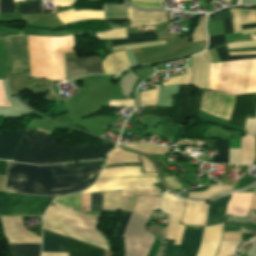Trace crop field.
Returning a JSON list of instances; mask_svg holds the SVG:
<instances>
[{
    "mask_svg": "<svg viewBox=\"0 0 256 256\" xmlns=\"http://www.w3.org/2000/svg\"><path fill=\"white\" fill-rule=\"evenodd\" d=\"M229 140H214V147L218 149V157H214L213 163H228Z\"/></svg>",
    "mask_w": 256,
    "mask_h": 256,
    "instance_id": "crop-field-33",
    "label": "crop field"
},
{
    "mask_svg": "<svg viewBox=\"0 0 256 256\" xmlns=\"http://www.w3.org/2000/svg\"><path fill=\"white\" fill-rule=\"evenodd\" d=\"M124 146L132 147L140 152H146V153L166 154L168 151V148L149 144V143L128 144V145H124Z\"/></svg>",
    "mask_w": 256,
    "mask_h": 256,
    "instance_id": "crop-field-34",
    "label": "crop field"
},
{
    "mask_svg": "<svg viewBox=\"0 0 256 256\" xmlns=\"http://www.w3.org/2000/svg\"><path fill=\"white\" fill-rule=\"evenodd\" d=\"M238 9L240 13V17L238 18H236L233 10L230 9V12L233 16L232 22H233L234 33L241 32L240 25L256 23V10L240 9V8Z\"/></svg>",
    "mask_w": 256,
    "mask_h": 256,
    "instance_id": "crop-field-27",
    "label": "crop field"
},
{
    "mask_svg": "<svg viewBox=\"0 0 256 256\" xmlns=\"http://www.w3.org/2000/svg\"><path fill=\"white\" fill-rule=\"evenodd\" d=\"M130 2L141 8H160L161 0H130Z\"/></svg>",
    "mask_w": 256,
    "mask_h": 256,
    "instance_id": "crop-field-40",
    "label": "crop field"
},
{
    "mask_svg": "<svg viewBox=\"0 0 256 256\" xmlns=\"http://www.w3.org/2000/svg\"><path fill=\"white\" fill-rule=\"evenodd\" d=\"M96 37L99 39L126 38V33L125 29H121L116 31L98 33L96 34Z\"/></svg>",
    "mask_w": 256,
    "mask_h": 256,
    "instance_id": "crop-field-41",
    "label": "crop field"
},
{
    "mask_svg": "<svg viewBox=\"0 0 256 256\" xmlns=\"http://www.w3.org/2000/svg\"><path fill=\"white\" fill-rule=\"evenodd\" d=\"M6 161L0 160V175H5Z\"/></svg>",
    "mask_w": 256,
    "mask_h": 256,
    "instance_id": "crop-field-65",
    "label": "crop field"
},
{
    "mask_svg": "<svg viewBox=\"0 0 256 256\" xmlns=\"http://www.w3.org/2000/svg\"><path fill=\"white\" fill-rule=\"evenodd\" d=\"M255 158L254 137L246 135L241 137V161L240 163L251 164Z\"/></svg>",
    "mask_w": 256,
    "mask_h": 256,
    "instance_id": "crop-field-28",
    "label": "crop field"
},
{
    "mask_svg": "<svg viewBox=\"0 0 256 256\" xmlns=\"http://www.w3.org/2000/svg\"><path fill=\"white\" fill-rule=\"evenodd\" d=\"M210 88L235 94L256 91V60L212 65Z\"/></svg>",
    "mask_w": 256,
    "mask_h": 256,
    "instance_id": "crop-field-5",
    "label": "crop field"
},
{
    "mask_svg": "<svg viewBox=\"0 0 256 256\" xmlns=\"http://www.w3.org/2000/svg\"><path fill=\"white\" fill-rule=\"evenodd\" d=\"M82 208H90V195L81 196Z\"/></svg>",
    "mask_w": 256,
    "mask_h": 256,
    "instance_id": "crop-field-59",
    "label": "crop field"
},
{
    "mask_svg": "<svg viewBox=\"0 0 256 256\" xmlns=\"http://www.w3.org/2000/svg\"><path fill=\"white\" fill-rule=\"evenodd\" d=\"M238 241H222L221 242V251L218 256H229L230 254L234 253Z\"/></svg>",
    "mask_w": 256,
    "mask_h": 256,
    "instance_id": "crop-field-39",
    "label": "crop field"
},
{
    "mask_svg": "<svg viewBox=\"0 0 256 256\" xmlns=\"http://www.w3.org/2000/svg\"><path fill=\"white\" fill-rule=\"evenodd\" d=\"M183 229H184V226H182L181 223H180V225L178 227V230H177V234H176L174 244L180 245V240H181V236H182V233H183Z\"/></svg>",
    "mask_w": 256,
    "mask_h": 256,
    "instance_id": "crop-field-58",
    "label": "crop field"
},
{
    "mask_svg": "<svg viewBox=\"0 0 256 256\" xmlns=\"http://www.w3.org/2000/svg\"><path fill=\"white\" fill-rule=\"evenodd\" d=\"M128 198L120 199L119 210L126 211L125 206Z\"/></svg>",
    "mask_w": 256,
    "mask_h": 256,
    "instance_id": "crop-field-64",
    "label": "crop field"
},
{
    "mask_svg": "<svg viewBox=\"0 0 256 256\" xmlns=\"http://www.w3.org/2000/svg\"><path fill=\"white\" fill-rule=\"evenodd\" d=\"M231 190H232V186H229V185H210L208 191L189 193L188 197L207 198V197L221 195V194L230 192Z\"/></svg>",
    "mask_w": 256,
    "mask_h": 256,
    "instance_id": "crop-field-31",
    "label": "crop field"
},
{
    "mask_svg": "<svg viewBox=\"0 0 256 256\" xmlns=\"http://www.w3.org/2000/svg\"><path fill=\"white\" fill-rule=\"evenodd\" d=\"M252 194L253 193L233 194L232 200L228 202L226 214L247 216Z\"/></svg>",
    "mask_w": 256,
    "mask_h": 256,
    "instance_id": "crop-field-19",
    "label": "crop field"
},
{
    "mask_svg": "<svg viewBox=\"0 0 256 256\" xmlns=\"http://www.w3.org/2000/svg\"><path fill=\"white\" fill-rule=\"evenodd\" d=\"M222 225L205 227L197 256H214L222 234Z\"/></svg>",
    "mask_w": 256,
    "mask_h": 256,
    "instance_id": "crop-field-16",
    "label": "crop field"
},
{
    "mask_svg": "<svg viewBox=\"0 0 256 256\" xmlns=\"http://www.w3.org/2000/svg\"><path fill=\"white\" fill-rule=\"evenodd\" d=\"M194 89L188 85H179L177 94L170 95L172 107H157L154 110H141L142 115L155 114L169 116L170 124L184 126L186 118L197 115L201 97H192Z\"/></svg>",
    "mask_w": 256,
    "mask_h": 256,
    "instance_id": "crop-field-7",
    "label": "crop field"
},
{
    "mask_svg": "<svg viewBox=\"0 0 256 256\" xmlns=\"http://www.w3.org/2000/svg\"><path fill=\"white\" fill-rule=\"evenodd\" d=\"M22 1V0H14ZM14 13L13 0H0V14Z\"/></svg>",
    "mask_w": 256,
    "mask_h": 256,
    "instance_id": "crop-field-43",
    "label": "crop field"
},
{
    "mask_svg": "<svg viewBox=\"0 0 256 256\" xmlns=\"http://www.w3.org/2000/svg\"><path fill=\"white\" fill-rule=\"evenodd\" d=\"M227 45L229 46V49L242 47H256V40L241 43H229Z\"/></svg>",
    "mask_w": 256,
    "mask_h": 256,
    "instance_id": "crop-field-47",
    "label": "crop field"
},
{
    "mask_svg": "<svg viewBox=\"0 0 256 256\" xmlns=\"http://www.w3.org/2000/svg\"><path fill=\"white\" fill-rule=\"evenodd\" d=\"M193 69L192 85L199 89H208L209 62L205 53H199L191 57Z\"/></svg>",
    "mask_w": 256,
    "mask_h": 256,
    "instance_id": "crop-field-15",
    "label": "crop field"
},
{
    "mask_svg": "<svg viewBox=\"0 0 256 256\" xmlns=\"http://www.w3.org/2000/svg\"><path fill=\"white\" fill-rule=\"evenodd\" d=\"M218 52V55L221 59L222 62H226V61H234V60H240V59H250V58H256V55H238V56H229L227 51H226V47H220L216 49ZM220 61H215V62H211V63H217Z\"/></svg>",
    "mask_w": 256,
    "mask_h": 256,
    "instance_id": "crop-field-37",
    "label": "crop field"
},
{
    "mask_svg": "<svg viewBox=\"0 0 256 256\" xmlns=\"http://www.w3.org/2000/svg\"><path fill=\"white\" fill-rule=\"evenodd\" d=\"M219 251V250H218ZM217 254H218V252H217ZM217 256V255H216Z\"/></svg>",
    "mask_w": 256,
    "mask_h": 256,
    "instance_id": "crop-field-77",
    "label": "crop field"
},
{
    "mask_svg": "<svg viewBox=\"0 0 256 256\" xmlns=\"http://www.w3.org/2000/svg\"><path fill=\"white\" fill-rule=\"evenodd\" d=\"M134 105V100H114L109 101V106H126Z\"/></svg>",
    "mask_w": 256,
    "mask_h": 256,
    "instance_id": "crop-field-51",
    "label": "crop field"
},
{
    "mask_svg": "<svg viewBox=\"0 0 256 256\" xmlns=\"http://www.w3.org/2000/svg\"><path fill=\"white\" fill-rule=\"evenodd\" d=\"M25 130L0 131V159H10Z\"/></svg>",
    "mask_w": 256,
    "mask_h": 256,
    "instance_id": "crop-field-18",
    "label": "crop field"
},
{
    "mask_svg": "<svg viewBox=\"0 0 256 256\" xmlns=\"http://www.w3.org/2000/svg\"><path fill=\"white\" fill-rule=\"evenodd\" d=\"M158 89L139 93V106L155 105L158 97Z\"/></svg>",
    "mask_w": 256,
    "mask_h": 256,
    "instance_id": "crop-field-36",
    "label": "crop field"
},
{
    "mask_svg": "<svg viewBox=\"0 0 256 256\" xmlns=\"http://www.w3.org/2000/svg\"><path fill=\"white\" fill-rule=\"evenodd\" d=\"M130 213H125L123 219H122V222L120 224V227L116 233V237H122L123 233H124V230L127 226V223H128V220L130 218ZM126 243H127V256H135V253L138 249V246H139V242H136V241H133V240H130V239H127L126 238Z\"/></svg>",
    "mask_w": 256,
    "mask_h": 256,
    "instance_id": "crop-field-32",
    "label": "crop field"
},
{
    "mask_svg": "<svg viewBox=\"0 0 256 256\" xmlns=\"http://www.w3.org/2000/svg\"><path fill=\"white\" fill-rule=\"evenodd\" d=\"M128 162H139L138 156L130 152H125L121 150L119 147H116L114 151L108 154L107 164L128 163Z\"/></svg>",
    "mask_w": 256,
    "mask_h": 256,
    "instance_id": "crop-field-30",
    "label": "crop field"
},
{
    "mask_svg": "<svg viewBox=\"0 0 256 256\" xmlns=\"http://www.w3.org/2000/svg\"><path fill=\"white\" fill-rule=\"evenodd\" d=\"M108 144L71 147L27 130L16 148L12 160L33 164H51L78 160H95L110 150Z\"/></svg>",
    "mask_w": 256,
    "mask_h": 256,
    "instance_id": "crop-field-4",
    "label": "crop field"
},
{
    "mask_svg": "<svg viewBox=\"0 0 256 256\" xmlns=\"http://www.w3.org/2000/svg\"><path fill=\"white\" fill-rule=\"evenodd\" d=\"M224 233H251V232H224Z\"/></svg>",
    "mask_w": 256,
    "mask_h": 256,
    "instance_id": "crop-field-74",
    "label": "crop field"
},
{
    "mask_svg": "<svg viewBox=\"0 0 256 256\" xmlns=\"http://www.w3.org/2000/svg\"><path fill=\"white\" fill-rule=\"evenodd\" d=\"M103 193L91 194V209L102 210Z\"/></svg>",
    "mask_w": 256,
    "mask_h": 256,
    "instance_id": "crop-field-44",
    "label": "crop field"
},
{
    "mask_svg": "<svg viewBox=\"0 0 256 256\" xmlns=\"http://www.w3.org/2000/svg\"><path fill=\"white\" fill-rule=\"evenodd\" d=\"M235 96L218 91H204L201 110L230 119Z\"/></svg>",
    "mask_w": 256,
    "mask_h": 256,
    "instance_id": "crop-field-10",
    "label": "crop field"
},
{
    "mask_svg": "<svg viewBox=\"0 0 256 256\" xmlns=\"http://www.w3.org/2000/svg\"><path fill=\"white\" fill-rule=\"evenodd\" d=\"M102 65L105 74H117L130 66L124 51L108 55L102 61Z\"/></svg>",
    "mask_w": 256,
    "mask_h": 256,
    "instance_id": "crop-field-20",
    "label": "crop field"
},
{
    "mask_svg": "<svg viewBox=\"0 0 256 256\" xmlns=\"http://www.w3.org/2000/svg\"><path fill=\"white\" fill-rule=\"evenodd\" d=\"M7 101H6L5 93H4V90H3L2 82L0 81V106H8L9 102H8V105H7Z\"/></svg>",
    "mask_w": 256,
    "mask_h": 256,
    "instance_id": "crop-field-54",
    "label": "crop field"
},
{
    "mask_svg": "<svg viewBox=\"0 0 256 256\" xmlns=\"http://www.w3.org/2000/svg\"><path fill=\"white\" fill-rule=\"evenodd\" d=\"M256 113V93L252 94V101L247 116H255Z\"/></svg>",
    "mask_w": 256,
    "mask_h": 256,
    "instance_id": "crop-field-53",
    "label": "crop field"
},
{
    "mask_svg": "<svg viewBox=\"0 0 256 256\" xmlns=\"http://www.w3.org/2000/svg\"><path fill=\"white\" fill-rule=\"evenodd\" d=\"M208 205L205 201H187L181 222L189 225H205Z\"/></svg>",
    "mask_w": 256,
    "mask_h": 256,
    "instance_id": "crop-field-17",
    "label": "crop field"
},
{
    "mask_svg": "<svg viewBox=\"0 0 256 256\" xmlns=\"http://www.w3.org/2000/svg\"><path fill=\"white\" fill-rule=\"evenodd\" d=\"M240 4H255L256 5V0H241Z\"/></svg>",
    "mask_w": 256,
    "mask_h": 256,
    "instance_id": "crop-field-66",
    "label": "crop field"
},
{
    "mask_svg": "<svg viewBox=\"0 0 256 256\" xmlns=\"http://www.w3.org/2000/svg\"><path fill=\"white\" fill-rule=\"evenodd\" d=\"M230 17H231V15L228 11V12H224V13L215 15L214 17H212L211 21H218V20H222V19H226V18H230Z\"/></svg>",
    "mask_w": 256,
    "mask_h": 256,
    "instance_id": "crop-field-57",
    "label": "crop field"
},
{
    "mask_svg": "<svg viewBox=\"0 0 256 256\" xmlns=\"http://www.w3.org/2000/svg\"><path fill=\"white\" fill-rule=\"evenodd\" d=\"M204 19L205 16H201L198 25L196 26L193 35H192V42L198 40H206V35L204 32Z\"/></svg>",
    "mask_w": 256,
    "mask_h": 256,
    "instance_id": "crop-field-38",
    "label": "crop field"
},
{
    "mask_svg": "<svg viewBox=\"0 0 256 256\" xmlns=\"http://www.w3.org/2000/svg\"><path fill=\"white\" fill-rule=\"evenodd\" d=\"M224 43H225L224 35L209 37L208 49L222 45Z\"/></svg>",
    "mask_w": 256,
    "mask_h": 256,
    "instance_id": "crop-field-46",
    "label": "crop field"
},
{
    "mask_svg": "<svg viewBox=\"0 0 256 256\" xmlns=\"http://www.w3.org/2000/svg\"><path fill=\"white\" fill-rule=\"evenodd\" d=\"M69 256H103V250L68 237Z\"/></svg>",
    "mask_w": 256,
    "mask_h": 256,
    "instance_id": "crop-field-24",
    "label": "crop field"
},
{
    "mask_svg": "<svg viewBox=\"0 0 256 256\" xmlns=\"http://www.w3.org/2000/svg\"><path fill=\"white\" fill-rule=\"evenodd\" d=\"M140 161L142 162L144 172H156L153 164H151L147 159L139 156Z\"/></svg>",
    "mask_w": 256,
    "mask_h": 256,
    "instance_id": "crop-field-50",
    "label": "crop field"
},
{
    "mask_svg": "<svg viewBox=\"0 0 256 256\" xmlns=\"http://www.w3.org/2000/svg\"><path fill=\"white\" fill-rule=\"evenodd\" d=\"M124 165H141L140 163H129V164H116V165H106L104 168L111 166H124Z\"/></svg>",
    "mask_w": 256,
    "mask_h": 256,
    "instance_id": "crop-field-67",
    "label": "crop field"
},
{
    "mask_svg": "<svg viewBox=\"0 0 256 256\" xmlns=\"http://www.w3.org/2000/svg\"><path fill=\"white\" fill-rule=\"evenodd\" d=\"M41 256H68V253H42Z\"/></svg>",
    "mask_w": 256,
    "mask_h": 256,
    "instance_id": "crop-field-63",
    "label": "crop field"
},
{
    "mask_svg": "<svg viewBox=\"0 0 256 256\" xmlns=\"http://www.w3.org/2000/svg\"><path fill=\"white\" fill-rule=\"evenodd\" d=\"M5 176H0V191H3Z\"/></svg>",
    "mask_w": 256,
    "mask_h": 256,
    "instance_id": "crop-field-68",
    "label": "crop field"
},
{
    "mask_svg": "<svg viewBox=\"0 0 256 256\" xmlns=\"http://www.w3.org/2000/svg\"><path fill=\"white\" fill-rule=\"evenodd\" d=\"M242 30H246V29H254L256 28V24H251V25H244L241 26ZM256 29L254 30H246V31H242V34H247V33H255Z\"/></svg>",
    "mask_w": 256,
    "mask_h": 256,
    "instance_id": "crop-field-61",
    "label": "crop field"
},
{
    "mask_svg": "<svg viewBox=\"0 0 256 256\" xmlns=\"http://www.w3.org/2000/svg\"><path fill=\"white\" fill-rule=\"evenodd\" d=\"M255 165H256V162H255Z\"/></svg>",
    "mask_w": 256,
    "mask_h": 256,
    "instance_id": "crop-field-78",
    "label": "crop field"
},
{
    "mask_svg": "<svg viewBox=\"0 0 256 256\" xmlns=\"http://www.w3.org/2000/svg\"><path fill=\"white\" fill-rule=\"evenodd\" d=\"M10 230L12 231L17 243H40V238L30 233L22 226L21 217L5 218ZM4 218H0L3 227V233L8 239V243H16L11 231L9 230Z\"/></svg>",
    "mask_w": 256,
    "mask_h": 256,
    "instance_id": "crop-field-14",
    "label": "crop field"
},
{
    "mask_svg": "<svg viewBox=\"0 0 256 256\" xmlns=\"http://www.w3.org/2000/svg\"><path fill=\"white\" fill-rule=\"evenodd\" d=\"M21 13H42L38 1L19 5Z\"/></svg>",
    "mask_w": 256,
    "mask_h": 256,
    "instance_id": "crop-field-42",
    "label": "crop field"
},
{
    "mask_svg": "<svg viewBox=\"0 0 256 256\" xmlns=\"http://www.w3.org/2000/svg\"><path fill=\"white\" fill-rule=\"evenodd\" d=\"M255 191H256V189H255ZM254 194H255V193H254ZM251 209H256V194H255V196H254Z\"/></svg>",
    "mask_w": 256,
    "mask_h": 256,
    "instance_id": "crop-field-70",
    "label": "crop field"
},
{
    "mask_svg": "<svg viewBox=\"0 0 256 256\" xmlns=\"http://www.w3.org/2000/svg\"><path fill=\"white\" fill-rule=\"evenodd\" d=\"M225 34L233 33L231 19L224 20Z\"/></svg>",
    "mask_w": 256,
    "mask_h": 256,
    "instance_id": "crop-field-60",
    "label": "crop field"
},
{
    "mask_svg": "<svg viewBox=\"0 0 256 256\" xmlns=\"http://www.w3.org/2000/svg\"><path fill=\"white\" fill-rule=\"evenodd\" d=\"M157 176V174H142L141 167H118L103 169L99 178Z\"/></svg>",
    "mask_w": 256,
    "mask_h": 256,
    "instance_id": "crop-field-23",
    "label": "crop field"
},
{
    "mask_svg": "<svg viewBox=\"0 0 256 256\" xmlns=\"http://www.w3.org/2000/svg\"><path fill=\"white\" fill-rule=\"evenodd\" d=\"M107 19H129L130 8L106 6ZM165 12H139L131 9V26L153 25L165 21ZM60 18L67 24L73 21H79L90 18L104 19L103 13L99 12H78L73 11L60 13Z\"/></svg>",
    "mask_w": 256,
    "mask_h": 256,
    "instance_id": "crop-field-6",
    "label": "crop field"
},
{
    "mask_svg": "<svg viewBox=\"0 0 256 256\" xmlns=\"http://www.w3.org/2000/svg\"><path fill=\"white\" fill-rule=\"evenodd\" d=\"M4 192H0V199ZM51 197L5 193L0 200V215L42 216Z\"/></svg>",
    "mask_w": 256,
    "mask_h": 256,
    "instance_id": "crop-field-9",
    "label": "crop field"
},
{
    "mask_svg": "<svg viewBox=\"0 0 256 256\" xmlns=\"http://www.w3.org/2000/svg\"><path fill=\"white\" fill-rule=\"evenodd\" d=\"M154 29V27H150V28H141V29H137L138 31H142V30H151Z\"/></svg>",
    "mask_w": 256,
    "mask_h": 256,
    "instance_id": "crop-field-72",
    "label": "crop field"
},
{
    "mask_svg": "<svg viewBox=\"0 0 256 256\" xmlns=\"http://www.w3.org/2000/svg\"><path fill=\"white\" fill-rule=\"evenodd\" d=\"M155 36L154 33L127 34V38Z\"/></svg>",
    "mask_w": 256,
    "mask_h": 256,
    "instance_id": "crop-field-62",
    "label": "crop field"
},
{
    "mask_svg": "<svg viewBox=\"0 0 256 256\" xmlns=\"http://www.w3.org/2000/svg\"><path fill=\"white\" fill-rule=\"evenodd\" d=\"M242 234H223L222 240H241Z\"/></svg>",
    "mask_w": 256,
    "mask_h": 256,
    "instance_id": "crop-field-55",
    "label": "crop field"
},
{
    "mask_svg": "<svg viewBox=\"0 0 256 256\" xmlns=\"http://www.w3.org/2000/svg\"><path fill=\"white\" fill-rule=\"evenodd\" d=\"M167 187L171 190H182V186L177 182L175 177H163Z\"/></svg>",
    "mask_w": 256,
    "mask_h": 256,
    "instance_id": "crop-field-45",
    "label": "crop field"
},
{
    "mask_svg": "<svg viewBox=\"0 0 256 256\" xmlns=\"http://www.w3.org/2000/svg\"><path fill=\"white\" fill-rule=\"evenodd\" d=\"M58 1H62V2H66V3L73 4V2H74L75 0H58Z\"/></svg>",
    "mask_w": 256,
    "mask_h": 256,
    "instance_id": "crop-field-71",
    "label": "crop field"
},
{
    "mask_svg": "<svg viewBox=\"0 0 256 256\" xmlns=\"http://www.w3.org/2000/svg\"><path fill=\"white\" fill-rule=\"evenodd\" d=\"M252 39H256V33L252 34Z\"/></svg>",
    "mask_w": 256,
    "mask_h": 256,
    "instance_id": "crop-field-75",
    "label": "crop field"
},
{
    "mask_svg": "<svg viewBox=\"0 0 256 256\" xmlns=\"http://www.w3.org/2000/svg\"><path fill=\"white\" fill-rule=\"evenodd\" d=\"M181 1H187V0H179V2H181Z\"/></svg>",
    "mask_w": 256,
    "mask_h": 256,
    "instance_id": "crop-field-76",
    "label": "crop field"
},
{
    "mask_svg": "<svg viewBox=\"0 0 256 256\" xmlns=\"http://www.w3.org/2000/svg\"><path fill=\"white\" fill-rule=\"evenodd\" d=\"M245 129L251 135L256 134V119H247Z\"/></svg>",
    "mask_w": 256,
    "mask_h": 256,
    "instance_id": "crop-field-49",
    "label": "crop field"
},
{
    "mask_svg": "<svg viewBox=\"0 0 256 256\" xmlns=\"http://www.w3.org/2000/svg\"><path fill=\"white\" fill-rule=\"evenodd\" d=\"M230 196L231 194L210 201L206 226L222 223L226 203L229 201Z\"/></svg>",
    "mask_w": 256,
    "mask_h": 256,
    "instance_id": "crop-field-22",
    "label": "crop field"
},
{
    "mask_svg": "<svg viewBox=\"0 0 256 256\" xmlns=\"http://www.w3.org/2000/svg\"><path fill=\"white\" fill-rule=\"evenodd\" d=\"M103 165L63 169L61 164L9 166L6 191L62 196L84 190Z\"/></svg>",
    "mask_w": 256,
    "mask_h": 256,
    "instance_id": "crop-field-2",
    "label": "crop field"
},
{
    "mask_svg": "<svg viewBox=\"0 0 256 256\" xmlns=\"http://www.w3.org/2000/svg\"><path fill=\"white\" fill-rule=\"evenodd\" d=\"M40 244H9L11 256H39Z\"/></svg>",
    "mask_w": 256,
    "mask_h": 256,
    "instance_id": "crop-field-29",
    "label": "crop field"
},
{
    "mask_svg": "<svg viewBox=\"0 0 256 256\" xmlns=\"http://www.w3.org/2000/svg\"><path fill=\"white\" fill-rule=\"evenodd\" d=\"M152 40H156V39L155 38L118 39V40H111V43H112V46H117V45H125L130 43L152 41ZM161 44H165L164 41H153V42H146V43L130 44L125 46L112 47V49L113 51H116V50H122V49L161 45Z\"/></svg>",
    "mask_w": 256,
    "mask_h": 256,
    "instance_id": "crop-field-26",
    "label": "crop field"
},
{
    "mask_svg": "<svg viewBox=\"0 0 256 256\" xmlns=\"http://www.w3.org/2000/svg\"><path fill=\"white\" fill-rule=\"evenodd\" d=\"M97 217L55 200L44 215V228L108 250L95 229ZM43 228L42 252H68L67 237Z\"/></svg>",
    "mask_w": 256,
    "mask_h": 256,
    "instance_id": "crop-field-3",
    "label": "crop field"
},
{
    "mask_svg": "<svg viewBox=\"0 0 256 256\" xmlns=\"http://www.w3.org/2000/svg\"><path fill=\"white\" fill-rule=\"evenodd\" d=\"M250 100L251 94L237 96V102L229 125L243 128Z\"/></svg>",
    "mask_w": 256,
    "mask_h": 256,
    "instance_id": "crop-field-21",
    "label": "crop field"
},
{
    "mask_svg": "<svg viewBox=\"0 0 256 256\" xmlns=\"http://www.w3.org/2000/svg\"><path fill=\"white\" fill-rule=\"evenodd\" d=\"M168 83H161V86L173 85V84H185V77L173 79V77L167 78Z\"/></svg>",
    "mask_w": 256,
    "mask_h": 256,
    "instance_id": "crop-field-52",
    "label": "crop field"
},
{
    "mask_svg": "<svg viewBox=\"0 0 256 256\" xmlns=\"http://www.w3.org/2000/svg\"><path fill=\"white\" fill-rule=\"evenodd\" d=\"M97 164H102V162L76 163V164H70V165H63V167L68 168V167H78V166L97 165Z\"/></svg>",
    "mask_w": 256,
    "mask_h": 256,
    "instance_id": "crop-field-56",
    "label": "crop field"
},
{
    "mask_svg": "<svg viewBox=\"0 0 256 256\" xmlns=\"http://www.w3.org/2000/svg\"><path fill=\"white\" fill-rule=\"evenodd\" d=\"M184 203L185 201L183 199L176 198L169 193H165V196L161 202L162 212L168 214V222L164 239L175 238Z\"/></svg>",
    "mask_w": 256,
    "mask_h": 256,
    "instance_id": "crop-field-13",
    "label": "crop field"
},
{
    "mask_svg": "<svg viewBox=\"0 0 256 256\" xmlns=\"http://www.w3.org/2000/svg\"><path fill=\"white\" fill-rule=\"evenodd\" d=\"M233 10H234V12H235L236 16L238 17V16H239V13H238L237 8H235V9H233Z\"/></svg>",
    "mask_w": 256,
    "mask_h": 256,
    "instance_id": "crop-field-73",
    "label": "crop field"
},
{
    "mask_svg": "<svg viewBox=\"0 0 256 256\" xmlns=\"http://www.w3.org/2000/svg\"><path fill=\"white\" fill-rule=\"evenodd\" d=\"M160 200L161 198L137 197L133 212L148 219L152 211L159 209Z\"/></svg>",
    "mask_w": 256,
    "mask_h": 256,
    "instance_id": "crop-field-25",
    "label": "crop field"
},
{
    "mask_svg": "<svg viewBox=\"0 0 256 256\" xmlns=\"http://www.w3.org/2000/svg\"><path fill=\"white\" fill-rule=\"evenodd\" d=\"M204 227L199 229L185 228L181 246L173 245L174 240H168L165 256H196Z\"/></svg>",
    "mask_w": 256,
    "mask_h": 256,
    "instance_id": "crop-field-11",
    "label": "crop field"
},
{
    "mask_svg": "<svg viewBox=\"0 0 256 256\" xmlns=\"http://www.w3.org/2000/svg\"><path fill=\"white\" fill-rule=\"evenodd\" d=\"M13 52V73L24 72L33 77L63 80V52L74 51L72 36L51 37L8 36L4 38ZM90 74H104L97 56L64 58V80Z\"/></svg>",
    "mask_w": 256,
    "mask_h": 256,
    "instance_id": "crop-field-1",
    "label": "crop field"
},
{
    "mask_svg": "<svg viewBox=\"0 0 256 256\" xmlns=\"http://www.w3.org/2000/svg\"><path fill=\"white\" fill-rule=\"evenodd\" d=\"M121 192L104 193L103 210H118Z\"/></svg>",
    "mask_w": 256,
    "mask_h": 256,
    "instance_id": "crop-field-35",
    "label": "crop field"
},
{
    "mask_svg": "<svg viewBox=\"0 0 256 256\" xmlns=\"http://www.w3.org/2000/svg\"><path fill=\"white\" fill-rule=\"evenodd\" d=\"M147 219L131 215L124 237L141 242L136 256H146L154 240V236L145 232Z\"/></svg>",
    "mask_w": 256,
    "mask_h": 256,
    "instance_id": "crop-field-12",
    "label": "crop field"
},
{
    "mask_svg": "<svg viewBox=\"0 0 256 256\" xmlns=\"http://www.w3.org/2000/svg\"><path fill=\"white\" fill-rule=\"evenodd\" d=\"M240 160V149L229 150V163H239Z\"/></svg>",
    "mask_w": 256,
    "mask_h": 256,
    "instance_id": "crop-field-48",
    "label": "crop field"
},
{
    "mask_svg": "<svg viewBox=\"0 0 256 256\" xmlns=\"http://www.w3.org/2000/svg\"><path fill=\"white\" fill-rule=\"evenodd\" d=\"M230 55H238V54H256V52H238V53H229Z\"/></svg>",
    "mask_w": 256,
    "mask_h": 256,
    "instance_id": "crop-field-69",
    "label": "crop field"
},
{
    "mask_svg": "<svg viewBox=\"0 0 256 256\" xmlns=\"http://www.w3.org/2000/svg\"><path fill=\"white\" fill-rule=\"evenodd\" d=\"M155 179L157 183L161 182L159 177H155ZM155 179L154 177H146L97 180L92 187L82 191V194L122 190L121 197H129L127 210L131 212L130 207L134 194L153 195L146 185L155 184Z\"/></svg>",
    "mask_w": 256,
    "mask_h": 256,
    "instance_id": "crop-field-8",
    "label": "crop field"
}]
</instances>
